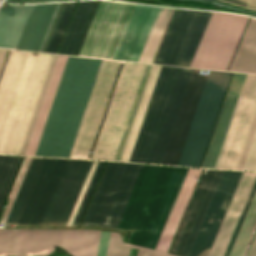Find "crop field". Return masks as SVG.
<instances>
[{
    "label": "crop field",
    "mask_w": 256,
    "mask_h": 256,
    "mask_svg": "<svg viewBox=\"0 0 256 256\" xmlns=\"http://www.w3.org/2000/svg\"><path fill=\"white\" fill-rule=\"evenodd\" d=\"M194 69L161 164L176 165L207 75ZM231 73L210 71L177 165L199 167Z\"/></svg>",
    "instance_id": "obj_1"
},
{
    "label": "crop field",
    "mask_w": 256,
    "mask_h": 256,
    "mask_svg": "<svg viewBox=\"0 0 256 256\" xmlns=\"http://www.w3.org/2000/svg\"><path fill=\"white\" fill-rule=\"evenodd\" d=\"M101 61L68 58L34 156H69Z\"/></svg>",
    "instance_id": "obj_2"
},
{
    "label": "crop field",
    "mask_w": 256,
    "mask_h": 256,
    "mask_svg": "<svg viewBox=\"0 0 256 256\" xmlns=\"http://www.w3.org/2000/svg\"><path fill=\"white\" fill-rule=\"evenodd\" d=\"M188 168L144 165L117 228L128 243L155 248Z\"/></svg>",
    "instance_id": "obj_3"
},
{
    "label": "crop field",
    "mask_w": 256,
    "mask_h": 256,
    "mask_svg": "<svg viewBox=\"0 0 256 256\" xmlns=\"http://www.w3.org/2000/svg\"><path fill=\"white\" fill-rule=\"evenodd\" d=\"M105 2L106 1H102L99 6V9L95 15L92 25L85 38V41L78 54L80 56H82L85 51V48L88 44V41L91 37V34L94 30V27L97 23V20L100 16V13L103 9ZM112 3L113 2H110V1L106 2L83 56H86V57L90 56ZM127 5L128 3H119V2L113 3L90 57H95V58L105 57ZM134 5L135 4L128 5L126 12L122 18V21L119 25V28L115 34V37L112 41V44L105 58L111 59V57L113 56ZM159 8L160 7H156V6H148V5H140V4L135 5L133 12L130 16V19L127 23V26L125 28V31L122 35V38L119 42V45L112 59L138 61Z\"/></svg>",
    "instance_id": "obj_4"
},
{
    "label": "crop field",
    "mask_w": 256,
    "mask_h": 256,
    "mask_svg": "<svg viewBox=\"0 0 256 256\" xmlns=\"http://www.w3.org/2000/svg\"><path fill=\"white\" fill-rule=\"evenodd\" d=\"M101 231L0 229V254L47 256L55 246L73 256H96Z\"/></svg>",
    "instance_id": "obj_5"
},
{
    "label": "crop field",
    "mask_w": 256,
    "mask_h": 256,
    "mask_svg": "<svg viewBox=\"0 0 256 256\" xmlns=\"http://www.w3.org/2000/svg\"><path fill=\"white\" fill-rule=\"evenodd\" d=\"M142 166L108 162L81 226L116 228Z\"/></svg>",
    "instance_id": "obj_6"
},
{
    "label": "crop field",
    "mask_w": 256,
    "mask_h": 256,
    "mask_svg": "<svg viewBox=\"0 0 256 256\" xmlns=\"http://www.w3.org/2000/svg\"><path fill=\"white\" fill-rule=\"evenodd\" d=\"M60 3L0 8V47L39 51Z\"/></svg>",
    "instance_id": "obj_7"
},
{
    "label": "crop field",
    "mask_w": 256,
    "mask_h": 256,
    "mask_svg": "<svg viewBox=\"0 0 256 256\" xmlns=\"http://www.w3.org/2000/svg\"><path fill=\"white\" fill-rule=\"evenodd\" d=\"M145 66L123 64L91 159H114Z\"/></svg>",
    "instance_id": "obj_8"
},
{
    "label": "crop field",
    "mask_w": 256,
    "mask_h": 256,
    "mask_svg": "<svg viewBox=\"0 0 256 256\" xmlns=\"http://www.w3.org/2000/svg\"><path fill=\"white\" fill-rule=\"evenodd\" d=\"M247 19L213 13L190 67L226 70Z\"/></svg>",
    "instance_id": "obj_9"
},
{
    "label": "crop field",
    "mask_w": 256,
    "mask_h": 256,
    "mask_svg": "<svg viewBox=\"0 0 256 256\" xmlns=\"http://www.w3.org/2000/svg\"><path fill=\"white\" fill-rule=\"evenodd\" d=\"M180 69L161 67L129 162H149Z\"/></svg>",
    "instance_id": "obj_10"
},
{
    "label": "crop field",
    "mask_w": 256,
    "mask_h": 256,
    "mask_svg": "<svg viewBox=\"0 0 256 256\" xmlns=\"http://www.w3.org/2000/svg\"><path fill=\"white\" fill-rule=\"evenodd\" d=\"M120 63L102 61L69 157H89Z\"/></svg>",
    "instance_id": "obj_11"
},
{
    "label": "crop field",
    "mask_w": 256,
    "mask_h": 256,
    "mask_svg": "<svg viewBox=\"0 0 256 256\" xmlns=\"http://www.w3.org/2000/svg\"><path fill=\"white\" fill-rule=\"evenodd\" d=\"M36 53L11 51L0 81V153Z\"/></svg>",
    "instance_id": "obj_12"
},
{
    "label": "crop field",
    "mask_w": 256,
    "mask_h": 256,
    "mask_svg": "<svg viewBox=\"0 0 256 256\" xmlns=\"http://www.w3.org/2000/svg\"><path fill=\"white\" fill-rule=\"evenodd\" d=\"M53 55L37 53L2 153L19 155Z\"/></svg>",
    "instance_id": "obj_13"
},
{
    "label": "crop field",
    "mask_w": 256,
    "mask_h": 256,
    "mask_svg": "<svg viewBox=\"0 0 256 256\" xmlns=\"http://www.w3.org/2000/svg\"><path fill=\"white\" fill-rule=\"evenodd\" d=\"M255 110L256 76L247 75L215 168H236Z\"/></svg>",
    "instance_id": "obj_14"
},
{
    "label": "crop field",
    "mask_w": 256,
    "mask_h": 256,
    "mask_svg": "<svg viewBox=\"0 0 256 256\" xmlns=\"http://www.w3.org/2000/svg\"><path fill=\"white\" fill-rule=\"evenodd\" d=\"M67 161L43 160L16 224H41Z\"/></svg>",
    "instance_id": "obj_15"
},
{
    "label": "crop field",
    "mask_w": 256,
    "mask_h": 256,
    "mask_svg": "<svg viewBox=\"0 0 256 256\" xmlns=\"http://www.w3.org/2000/svg\"><path fill=\"white\" fill-rule=\"evenodd\" d=\"M241 173L223 172L188 256H207Z\"/></svg>",
    "instance_id": "obj_16"
},
{
    "label": "crop field",
    "mask_w": 256,
    "mask_h": 256,
    "mask_svg": "<svg viewBox=\"0 0 256 256\" xmlns=\"http://www.w3.org/2000/svg\"><path fill=\"white\" fill-rule=\"evenodd\" d=\"M93 161L69 160L41 225H65Z\"/></svg>",
    "instance_id": "obj_17"
},
{
    "label": "crop field",
    "mask_w": 256,
    "mask_h": 256,
    "mask_svg": "<svg viewBox=\"0 0 256 256\" xmlns=\"http://www.w3.org/2000/svg\"><path fill=\"white\" fill-rule=\"evenodd\" d=\"M255 179L256 173H242L208 256H224Z\"/></svg>",
    "instance_id": "obj_18"
},
{
    "label": "crop field",
    "mask_w": 256,
    "mask_h": 256,
    "mask_svg": "<svg viewBox=\"0 0 256 256\" xmlns=\"http://www.w3.org/2000/svg\"><path fill=\"white\" fill-rule=\"evenodd\" d=\"M199 13L176 10L154 63L178 64Z\"/></svg>",
    "instance_id": "obj_19"
},
{
    "label": "crop field",
    "mask_w": 256,
    "mask_h": 256,
    "mask_svg": "<svg viewBox=\"0 0 256 256\" xmlns=\"http://www.w3.org/2000/svg\"><path fill=\"white\" fill-rule=\"evenodd\" d=\"M246 75L234 74L202 167L214 168Z\"/></svg>",
    "instance_id": "obj_20"
},
{
    "label": "crop field",
    "mask_w": 256,
    "mask_h": 256,
    "mask_svg": "<svg viewBox=\"0 0 256 256\" xmlns=\"http://www.w3.org/2000/svg\"><path fill=\"white\" fill-rule=\"evenodd\" d=\"M186 69V70H184ZM193 69L182 68L149 163L160 164Z\"/></svg>",
    "instance_id": "obj_21"
},
{
    "label": "crop field",
    "mask_w": 256,
    "mask_h": 256,
    "mask_svg": "<svg viewBox=\"0 0 256 256\" xmlns=\"http://www.w3.org/2000/svg\"><path fill=\"white\" fill-rule=\"evenodd\" d=\"M201 170L195 168L188 169L155 249L167 251Z\"/></svg>",
    "instance_id": "obj_22"
},
{
    "label": "crop field",
    "mask_w": 256,
    "mask_h": 256,
    "mask_svg": "<svg viewBox=\"0 0 256 256\" xmlns=\"http://www.w3.org/2000/svg\"><path fill=\"white\" fill-rule=\"evenodd\" d=\"M215 171L216 170H210V169L204 170L202 177L199 181V184L197 186V189L194 193V196L191 200V203L188 207L186 215L177 233L175 241L169 252L170 254H174L178 256L180 255Z\"/></svg>",
    "instance_id": "obj_23"
},
{
    "label": "crop field",
    "mask_w": 256,
    "mask_h": 256,
    "mask_svg": "<svg viewBox=\"0 0 256 256\" xmlns=\"http://www.w3.org/2000/svg\"><path fill=\"white\" fill-rule=\"evenodd\" d=\"M68 57L59 56L49 83L26 154L33 156Z\"/></svg>",
    "instance_id": "obj_24"
},
{
    "label": "crop field",
    "mask_w": 256,
    "mask_h": 256,
    "mask_svg": "<svg viewBox=\"0 0 256 256\" xmlns=\"http://www.w3.org/2000/svg\"><path fill=\"white\" fill-rule=\"evenodd\" d=\"M256 73V19H250L229 71Z\"/></svg>",
    "instance_id": "obj_25"
},
{
    "label": "crop field",
    "mask_w": 256,
    "mask_h": 256,
    "mask_svg": "<svg viewBox=\"0 0 256 256\" xmlns=\"http://www.w3.org/2000/svg\"><path fill=\"white\" fill-rule=\"evenodd\" d=\"M160 67L161 66H155V65L152 66L144 93L142 95V98H141V101H140V104H139V107H138V110H137V113H136V116H135V119H134V122H133V125L131 128V131H130L129 137L127 139V142H126V145H125V148H124V151H123L120 161H127V162L129 161V158H130V155H131V152H132L135 140H136V136H137L146 106L148 104L152 89L154 87L157 75L159 73Z\"/></svg>",
    "instance_id": "obj_26"
},
{
    "label": "crop field",
    "mask_w": 256,
    "mask_h": 256,
    "mask_svg": "<svg viewBox=\"0 0 256 256\" xmlns=\"http://www.w3.org/2000/svg\"><path fill=\"white\" fill-rule=\"evenodd\" d=\"M94 1L79 2L58 53L71 55Z\"/></svg>",
    "instance_id": "obj_27"
},
{
    "label": "crop field",
    "mask_w": 256,
    "mask_h": 256,
    "mask_svg": "<svg viewBox=\"0 0 256 256\" xmlns=\"http://www.w3.org/2000/svg\"><path fill=\"white\" fill-rule=\"evenodd\" d=\"M173 10L171 8H160L138 62H152Z\"/></svg>",
    "instance_id": "obj_28"
},
{
    "label": "crop field",
    "mask_w": 256,
    "mask_h": 256,
    "mask_svg": "<svg viewBox=\"0 0 256 256\" xmlns=\"http://www.w3.org/2000/svg\"><path fill=\"white\" fill-rule=\"evenodd\" d=\"M43 159L33 158L5 223L15 224Z\"/></svg>",
    "instance_id": "obj_29"
},
{
    "label": "crop field",
    "mask_w": 256,
    "mask_h": 256,
    "mask_svg": "<svg viewBox=\"0 0 256 256\" xmlns=\"http://www.w3.org/2000/svg\"><path fill=\"white\" fill-rule=\"evenodd\" d=\"M252 201V200H251ZM256 225V193L229 256H243Z\"/></svg>",
    "instance_id": "obj_30"
},
{
    "label": "crop field",
    "mask_w": 256,
    "mask_h": 256,
    "mask_svg": "<svg viewBox=\"0 0 256 256\" xmlns=\"http://www.w3.org/2000/svg\"><path fill=\"white\" fill-rule=\"evenodd\" d=\"M212 13L201 12L178 65L189 67Z\"/></svg>",
    "instance_id": "obj_31"
},
{
    "label": "crop field",
    "mask_w": 256,
    "mask_h": 256,
    "mask_svg": "<svg viewBox=\"0 0 256 256\" xmlns=\"http://www.w3.org/2000/svg\"><path fill=\"white\" fill-rule=\"evenodd\" d=\"M22 158L0 156V207Z\"/></svg>",
    "instance_id": "obj_32"
},
{
    "label": "crop field",
    "mask_w": 256,
    "mask_h": 256,
    "mask_svg": "<svg viewBox=\"0 0 256 256\" xmlns=\"http://www.w3.org/2000/svg\"><path fill=\"white\" fill-rule=\"evenodd\" d=\"M130 248L139 249L137 256H173L129 244H125L120 239L119 235L111 232L110 240L106 256H128Z\"/></svg>",
    "instance_id": "obj_33"
},
{
    "label": "crop field",
    "mask_w": 256,
    "mask_h": 256,
    "mask_svg": "<svg viewBox=\"0 0 256 256\" xmlns=\"http://www.w3.org/2000/svg\"><path fill=\"white\" fill-rule=\"evenodd\" d=\"M223 171L217 170L180 256H187Z\"/></svg>",
    "instance_id": "obj_34"
},
{
    "label": "crop field",
    "mask_w": 256,
    "mask_h": 256,
    "mask_svg": "<svg viewBox=\"0 0 256 256\" xmlns=\"http://www.w3.org/2000/svg\"><path fill=\"white\" fill-rule=\"evenodd\" d=\"M76 2H66L45 52L55 53Z\"/></svg>",
    "instance_id": "obj_35"
},
{
    "label": "crop field",
    "mask_w": 256,
    "mask_h": 256,
    "mask_svg": "<svg viewBox=\"0 0 256 256\" xmlns=\"http://www.w3.org/2000/svg\"><path fill=\"white\" fill-rule=\"evenodd\" d=\"M152 65H147L114 160L119 161ZM145 90V89H144ZM144 93V92H143Z\"/></svg>",
    "instance_id": "obj_36"
},
{
    "label": "crop field",
    "mask_w": 256,
    "mask_h": 256,
    "mask_svg": "<svg viewBox=\"0 0 256 256\" xmlns=\"http://www.w3.org/2000/svg\"><path fill=\"white\" fill-rule=\"evenodd\" d=\"M57 57L58 56H56V55L53 56V59H52V62H51V65H50V68H49V71H48V74H47V77H46V80H45V83H44V86H43V89H42V92H41L38 104L36 106V109H35V112H34V115H33V118H32V121H31V124H30V127H29V130H28V133H27V136H26V139H25V142H24V145H23V148H22V151H21L20 155L25 154V151H26V148H27L32 130L34 128V125H35V122H36V119H37V116H38V113H39V110H40V107H41V104H42V101H43V98H44V95H45V92H46V89H47V86H48L49 80L51 78V75H52Z\"/></svg>",
    "instance_id": "obj_37"
},
{
    "label": "crop field",
    "mask_w": 256,
    "mask_h": 256,
    "mask_svg": "<svg viewBox=\"0 0 256 256\" xmlns=\"http://www.w3.org/2000/svg\"><path fill=\"white\" fill-rule=\"evenodd\" d=\"M105 162H99L72 225L77 226Z\"/></svg>",
    "instance_id": "obj_38"
},
{
    "label": "crop field",
    "mask_w": 256,
    "mask_h": 256,
    "mask_svg": "<svg viewBox=\"0 0 256 256\" xmlns=\"http://www.w3.org/2000/svg\"><path fill=\"white\" fill-rule=\"evenodd\" d=\"M98 162L94 161L66 225H71Z\"/></svg>",
    "instance_id": "obj_39"
},
{
    "label": "crop field",
    "mask_w": 256,
    "mask_h": 256,
    "mask_svg": "<svg viewBox=\"0 0 256 256\" xmlns=\"http://www.w3.org/2000/svg\"><path fill=\"white\" fill-rule=\"evenodd\" d=\"M99 4H100V1H95L94 2L93 6H92V9L90 11V14H89V16L87 18L85 26H84V28L82 30V33L80 35V38H79V40L77 42V45H76L75 50H74L72 55H77L78 54V52L80 50V47H81V45H82V43L84 41V38H85V36L87 34V31H88V29H89V27L91 25V22H92V20L94 18V15H95V13H96V11L98 9Z\"/></svg>",
    "instance_id": "obj_40"
},
{
    "label": "crop field",
    "mask_w": 256,
    "mask_h": 256,
    "mask_svg": "<svg viewBox=\"0 0 256 256\" xmlns=\"http://www.w3.org/2000/svg\"><path fill=\"white\" fill-rule=\"evenodd\" d=\"M32 158H27L0 223H4Z\"/></svg>",
    "instance_id": "obj_41"
},
{
    "label": "crop field",
    "mask_w": 256,
    "mask_h": 256,
    "mask_svg": "<svg viewBox=\"0 0 256 256\" xmlns=\"http://www.w3.org/2000/svg\"><path fill=\"white\" fill-rule=\"evenodd\" d=\"M242 170L256 171V131Z\"/></svg>",
    "instance_id": "obj_42"
},
{
    "label": "crop field",
    "mask_w": 256,
    "mask_h": 256,
    "mask_svg": "<svg viewBox=\"0 0 256 256\" xmlns=\"http://www.w3.org/2000/svg\"><path fill=\"white\" fill-rule=\"evenodd\" d=\"M255 191H256V181H255L254 186H253V188H252V191H251V193H250V195H249V198H248V200H247V203H246V205H245V207H244V210H243L242 215H241V217H240V220H239V222H238V224H237V227H236V229H235V232H234V234H233V236H232V239H231V241H230V244H229V246H228V248H227V251H226V253H225V256H228V255H229V252H230V250H231V248H232V245H233V243H234V240H235V238H236V236H237V233H238V231H239V229H240V226H241V224H242V222H243V219H244V217H245V215H246V212H247V210H248V208H249V205H250V203H251V200H252V198H253V196H254Z\"/></svg>",
    "instance_id": "obj_43"
},
{
    "label": "crop field",
    "mask_w": 256,
    "mask_h": 256,
    "mask_svg": "<svg viewBox=\"0 0 256 256\" xmlns=\"http://www.w3.org/2000/svg\"><path fill=\"white\" fill-rule=\"evenodd\" d=\"M255 128H256V113H255L253 122L251 124L250 130H249V133H248V136H247V139H246V142H245V145H244V148H243V151H242V154L240 156V159H239V162H238V165H237L236 169H239V170L242 169V166H243L245 157L247 155V152H248V149H249V146H250Z\"/></svg>",
    "instance_id": "obj_44"
},
{
    "label": "crop field",
    "mask_w": 256,
    "mask_h": 256,
    "mask_svg": "<svg viewBox=\"0 0 256 256\" xmlns=\"http://www.w3.org/2000/svg\"><path fill=\"white\" fill-rule=\"evenodd\" d=\"M64 3H65V2H62V3L60 4L59 8H58V11H57V13H56V15H55V18H54V20H53V22H52V25H51V27H50V29H49V32H48V34H47V36H46V39H45V41H44V43H43V46H42L41 50H40V51H42V52H44L45 49H46V46H47V44H48V42H49V39H50V37H51V34H52L53 29H54V27H55V25H56V22H57V20H58V17H59V15H60V12H61V10H62V8H63Z\"/></svg>",
    "instance_id": "obj_45"
},
{
    "label": "crop field",
    "mask_w": 256,
    "mask_h": 256,
    "mask_svg": "<svg viewBox=\"0 0 256 256\" xmlns=\"http://www.w3.org/2000/svg\"><path fill=\"white\" fill-rule=\"evenodd\" d=\"M110 232H102L98 256H105Z\"/></svg>",
    "instance_id": "obj_46"
},
{
    "label": "crop field",
    "mask_w": 256,
    "mask_h": 256,
    "mask_svg": "<svg viewBox=\"0 0 256 256\" xmlns=\"http://www.w3.org/2000/svg\"><path fill=\"white\" fill-rule=\"evenodd\" d=\"M247 256H256V236Z\"/></svg>",
    "instance_id": "obj_47"
},
{
    "label": "crop field",
    "mask_w": 256,
    "mask_h": 256,
    "mask_svg": "<svg viewBox=\"0 0 256 256\" xmlns=\"http://www.w3.org/2000/svg\"><path fill=\"white\" fill-rule=\"evenodd\" d=\"M7 51H8V50H2V49H0V71H1V68H2V66H3V63H4V60H5Z\"/></svg>",
    "instance_id": "obj_48"
},
{
    "label": "crop field",
    "mask_w": 256,
    "mask_h": 256,
    "mask_svg": "<svg viewBox=\"0 0 256 256\" xmlns=\"http://www.w3.org/2000/svg\"><path fill=\"white\" fill-rule=\"evenodd\" d=\"M224 1H228V2H232L241 6H246L248 0H224Z\"/></svg>",
    "instance_id": "obj_49"
},
{
    "label": "crop field",
    "mask_w": 256,
    "mask_h": 256,
    "mask_svg": "<svg viewBox=\"0 0 256 256\" xmlns=\"http://www.w3.org/2000/svg\"><path fill=\"white\" fill-rule=\"evenodd\" d=\"M246 7L256 9V0H249Z\"/></svg>",
    "instance_id": "obj_50"
}]
</instances>
